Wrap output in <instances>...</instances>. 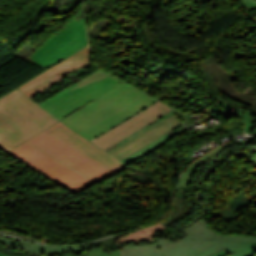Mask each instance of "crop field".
<instances>
[{"label": "crop field", "instance_id": "crop-field-1", "mask_svg": "<svg viewBox=\"0 0 256 256\" xmlns=\"http://www.w3.org/2000/svg\"><path fill=\"white\" fill-rule=\"evenodd\" d=\"M8 154L72 193L123 168L60 122Z\"/></svg>", "mask_w": 256, "mask_h": 256}, {"label": "crop field", "instance_id": "crop-field-2", "mask_svg": "<svg viewBox=\"0 0 256 256\" xmlns=\"http://www.w3.org/2000/svg\"><path fill=\"white\" fill-rule=\"evenodd\" d=\"M183 231L187 235L177 242L159 238L154 244L123 246L124 256H208L222 249L229 256H252L256 252V237L218 235L204 220L184 227Z\"/></svg>", "mask_w": 256, "mask_h": 256}, {"label": "crop field", "instance_id": "crop-field-3", "mask_svg": "<svg viewBox=\"0 0 256 256\" xmlns=\"http://www.w3.org/2000/svg\"><path fill=\"white\" fill-rule=\"evenodd\" d=\"M156 101L123 82L62 121L91 141Z\"/></svg>", "mask_w": 256, "mask_h": 256}, {"label": "crop field", "instance_id": "crop-field-4", "mask_svg": "<svg viewBox=\"0 0 256 256\" xmlns=\"http://www.w3.org/2000/svg\"><path fill=\"white\" fill-rule=\"evenodd\" d=\"M57 121L16 89L0 99V149L6 152Z\"/></svg>", "mask_w": 256, "mask_h": 256}, {"label": "crop field", "instance_id": "crop-field-5", "mask_svg": "<svg viewBox=\"0 0 256 256\" xmlns=\"http://www.w3.org/2000/svg\"><path fill=\"white\" fill-rule=\"evenodd\" d=\"M120 81L98 69L40 105L61 120L86 103L100 97L121 83Z\"/></svg>", "mask_w": 256, "mask_h": 256}, {"label": "crop field", "instance_id": "crop-field-6", "mask_svg": "<svg viewBox=\"0 0 256 256\" xmlns=\"http://www.w3.org/2000/svg\"><path fill=\"white\" fill-rule=\"evenodd\" d=\"M87 45L84 19L72 20L27 60L47 69Z\"/></svg>", "mask_w": 256, "mask_h": 256}, {"label": "crop field", "instance_id": "crop-field-7", "mask_svg": "<svg viewBox=\"0 0 256 256\" xmlns=\"http://www.w3.org/2000/svg\"><path fill=\"white\" fill-rule=\"evenodd\" d=\"M169 110H171V108L158 101L150 107L146 108L145 110L141 111L137 115L117 125L115 128L98 136L92 142L96 143L98 146L104 149L115 141L138 130L142 126L146 125L150 121L154 120L155 118Z\"/></svg>", "mask_w": 256, "mask_h": 256}, {"label": "crop field", "instance_id": "crop-field-8", "mask_svg": "<svg viewBox=\"0 0 256 256\" xmlns=\"http://www.w3.org/2000/svg\"><path fill=\"white\" fill-rule=\"evenodd\" d=\"M89 63L90 60L88 56V49L85 48L84 50L75 54L74 56L64 61L60 65L40 75L31 82L19 87V89L23 91L28 97H31L43 91L45 88L52 85L57 80L61 79L62 74L69 71H74Z\"/></svg>", "mask_w": 256, "mask_h": 256}, {"label": "crop field", "instance_id": "crop-field-9", "mask_svg": "<svg viewBox=\"0 0 256 256\" xmlns=\"http://www.w3.org/2000/svg\"><path fill=\"white\" fill-rule=\"evenodd\" d=\"M178 125H180L179 122L172 115L166 120L154 125L152 128L142 132L138 136L124 143L123 145L111 151L110 153L119 160H121L126 156L132 154L133 152L137 151L138 149L149 144L150 142L161 137L162 135L168 133Z\"/></svg>", "mask_w": 256, "mask_h": 256}, {"label": "crop field", "instance_id": "crop-field-10", "mask_svg": "<svg viewBox=\"0 0 256 256\" xmlns=\"http://www.w3.org/2000/svg\"><path fill=\"white\" fill-rule=\"evenodd\" d=\"M0 243L15 250L26 251V252H30L37 255H40V254L57 255L65 252H77V251H82L88 246H90V244L70 246V247L42 246V245L32 244L30 242L22 241V240L8 237L1 234H0Z\"/></svg>", "mask_w": 256, "mask_h": 256}, {"label": "crop field", "instance_id": "crop-field-11", "mask_svg": "<svg viewBox=\"0 0 256 256\" xmlns=\"http://www.w3.org/2000/svg\"><path fill=\"white\" fill-rule=\"evenodd\" d=\"M228 145L226 146H219L212 151L208 152L207 154L203 155L199 159L195 160L193 163H191L184 171L178 187H183V188H188L189 182L193 176V173L195 169L200 166L202 163L206 162L212 157L219 156L225 149H227L230 146H237V145H242V144H248L246 140H241L240 142L236 144H232L229 141L226 142Z\"/></svg>", "mask_w": 256, "mask_h": 256}, {"label": "crop field", "instance_id": "crop-field-12", "mask_svg": "<svg viewBox=\"0 0 256 256\" xmlns=\"http://www.w3.org/2000/svg\"><path fill=\"white\" fill-rule=\"evenodd\" d=\"M162 229H165V226H163L161 224H157L155 226L130 233L127 237H125L121 240H118V244L123 243L127 240L134 241V242L151 240V238L155 236V233L158 230H162Z\"/></svg>", "mask_w": 256, "mask_h": 256}, {"label": "crop field", "instance_id": "crop-field-13", "mask_svg": "<svg viewBox=\"0 0 256 256\" xmlns=\"http://www.w3.org/2000/svg\"><path fill=\"white\" fill-rule=\"evenodd\" d=\"M171 137H173V136L170 133H168V134L164 135L163 137L157 139L156 141L152 142L151 144L145 146L144 148L140 149L139 151L133 153L132 155L128 156L127 158H125L121 161H123L126 164L131 163V162L139 159L143 155L149 153L150 151L154 150L155 148L161 146L162 144L167 142V140Z\"/></svg>", "mask_w": 256, "mask_h": 256}, {"label": "crop field", "instance_id": "crop-field-14", "mask_svg": "<svg viewBox=\"0 0 256 256\" xmlns=\"http://www.w3.org/2000/svg\"><path fill=\"white\" fill-rule=\"evenodd\" d=\"M213 98L216 102L223 105L224 107H227V108L235 107V108L241 110L242 111V117L245 120V131L248 132V133H252L253 135H256V125L253 124L254 119H253V117H252V115L249 111H246V110H243L239 107H236L234 104L228 102L227 100H225L221 97L214 96ZM243 111H245L246 113L244 114Z\"/></svg>", "mask_w": 256, "mask_h": 256}, {"label": "crop field", "instance_id": "crop-field-15", "mask_svg": "<svg viewBox=\"0 0 256 256\" xmlns=\"http://www.w3.org/2000/svg\"><path fill=\"white\" fill-rule=\"evenodd\" d=\"M174 113H175V112H174L173 110H171V111H169V112L163 114L162 116L158 117L157 119H155V120L152 121L151 123L147 124V125L144 126L143 128H141V129H139L138 131H136V132L130 134L129 136H127V137H125V138L119 140L118 142L112 144L111 146L107 147V148L104 149V150H106V151L109 152V151L115 149L116 147H118V146H120L122 143H124L125 141H127V140L133 138L134 136L138 135V134L141 133L142 131H144V130L150 128V127L153 126L154 124H156V123L160 122L161 120H163V119H165V118L171 116V115L174 114Z\"/></svg>", "mask_w": 256, "mask_h": 256}, {"label": "crop field", "instance_id": "crop-field-16", "mask_svg": "<svg viewBox=\"0 0 256 256\" xmlns=\"http://www.w3.org/2000/svg\"><path fill=\"white\" fill-rule=\"evenodd\" d=\"M120 250H116L113 253H107L99 248L91 249L90 252L84 256H120Z\"/></svg>", "mask_w": 256, "mask_h": 256}, {"label": "crop field", "instance_id": "crop-field-17", "mask_svg": "<svg viewBox=\"0 0 256 256\" xmlns=\"http://www.w3.org/2000/svg\"><path fill=\"white\" fill-rule=\"evenodd\" d=\"M248 11L256 8V0H242Z\"/></svg>", "mask_w": 256, "mask_h": 256}, {"label": "crop field", "instance_id": "crop-field-18", "mask_svg": "<svg viewBox=\"0 0 256 256\" xmlns=\"http://www.w3.org/2000/svg\"><path fill=\"white\" fill-rule=\"evenodd\" d=\"M247 162H249L255 169H256V156L255 157H253V158H251L249 161H247Z\"/></svg>", "mask_w": 256, "mask_h": 256}, {"label": "crop field", "instance_id": "crop-field-19", "mask_svg": "<svg viewBox=\"0 0 256 256\" xmlns=\"http://www.w3.org/2000/svg\"><path fill=\"white\" fill-rule=\"evenodd\" d=\"M211 256H228V255L225 253L224 250H222V251H219V252H217V253H215V254H213Z\"/></svg>", "mask_w": 256, "mask_h": 256}, {"label": "crop field", "instance_id": "crop-field-20", "mask_svg": "<svg viewBox=\"0 0 256 256\" xmlns=\"http://www.w3.org/2000/svg\"><path fill=\"white\" fill-rule=\"evenodd\" d=\"M0 256H9V255H5V254L0 253ZM67 256H73V255H67Z\"/></svg>", "mask_w": 256, "mask_h": 256}, {"label": "crop field", "instance_id": "crop-field-21", "mask_svg": "<svg viewBox=\"0 0 256 256\" xmlns=\"http://www.w3.org/2000/svg\"><path fill=\"white\" fill-rule=\"evenodd\" d=\"M255 19V21H256V18H254Z\"/></svg>", "mask_w": 256, "mask_h": 256}]
</instances>
